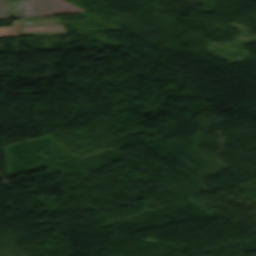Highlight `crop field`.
I'll use <instances>...</instances> for the list:
<instances>
[{"instance_id":"1","label":"crop field","mask_w":256,"mask_h":256,"mask_svg":"<svg viewBox=\"0 0 256 256\" xmlns=\"http://www.w3.org/2000/svg\"><path fill=\"white\" fill-rule=\"evenodd\" d=\"M59 19L21 20L20 35L40 33H65ZM48 25H51L50 27Z\"/></svg>"}]
</instances>
